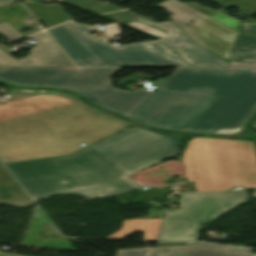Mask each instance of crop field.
<instances>
[{"label": "crop field", "instance_id": "obj_1", "mask_svg": "<svg viewBox=\"0 0 256 256\" xmlns=\"http://www.w3.org/2000/svg\"><path fill=\"white\" fill-rule=\"evenodd\" d=\"M120 68L13 67L0 80L73 91L145 125L235 134L256 109V69L177 68L152 93L108 85Z\"/></svg>", "mask_w": 256, "mask_h": 256}, {"label": "crop field", "instance_id": "obj_2", "mask_svg": "<svg viewBox=\"0 0 256 256\" xmlns=\"http://www.w3.org/2000/svg\"><path fill=\"white\" fill-rule=\"evenodd\" d=\"M5 165L33 198L58 193L110 196L139 187L89 147L65 157ZM60 177L71 183L59 184Z\"/></svg>", "mask_w": 256, "mask_h": 256}, {"label": "crop field", "instance_id": "obj_3", "mask_svg": "<svg viewBox=\"0 0 256 256\" xmlns=\"http://www.w3.org/2000/svg\"><path fill=\"white\" fill-rule=\"evenodd\" d=\"M186 181L195 191L256 188L254 141L191 136L183 155Z\"/></svg>", "mask_w": 256, "mask_h": 256}, {"label": "crop field", "instance_id": "obj_4", "mask_svg": "<svg viewBox=\"0 0 256 256\" xmlns=\"http://www.w3.org/2000/svg\"><path fill=\"white\" fill-rule=\"evenodd\" d=\"M53 131L36 113L0 120L3 162L64 155L83 148Z\"/></svg>", "mask_w": 256, "mask_h": 256}, {"label": "crop field", "instance_id": "obj_5", "mask_svg": "<svg viewBox=\"0 0 256 256\" xmlns=\"http://www.w3.org/2000/svg\"><path fill=\"white\" fill-rule=\"evenodd\" d=\"M13 96L17 97L12 91ZM57 131L90 145L131 124L62 93L32 106Z\"/></svg>", "mask_w": 256, "mask_h": 256}, {"label": "crop field", "instance_id": "obj_6", "mask_svg": "<svg viewBox=\"0 0 256 256\" xmlns=\"http://www.w3.org/2000/svg\"><path fill=\"white\" fill-rule=\"evenodd\" d=\"M178 137L180 136L135 127L90 147L122 172L130 175L175 155L178 150Z\"/></svg>", "mask_w": 256, "mask_h": 256}, {"label": "crop field", "instance_id": "obj_7", "mask_svg": "<svg viewBox=\"0 0 256 256\" xmlns=\"http://www.w3.org/2000/svg\"><path fill=\"white\" fill-rule=\"evenodd\" d=\"M63 27L100 66H189L162 41L112 46L94 39L89 34L96 30L93 27L72 22Z\"/></svg>", "mask_w": 256, "mask_h": 256}, {"label": "crop field", "instance_id": "obj_8", "mask_svg": "<svg viewBox=\"0 0 256 256\" xmlns=\"http://www.w3.org/2000/svg\"><path fill=\"white\" fill-rule=\"evenodd\" d=\"M247 198L246 191L181 195L178 210H167L165 214L159 240L196 241L200 224Z\"/></svg>", "mask_w": 256, "mask_h": 256}, {"label": "crop field", "instance_id": "obj_9", "mask_svg": "<svg viewBox=\"0 0 256 256\" xmlns=\"http://www.w3.org/2000/svg\"><path fill=\"white\" fill-rule=\"evenodd\" d=\"M155 6L170 13L168 17L196 44L229 59L237 33L178 0H164Z\"/></svg>", "mask_w": 256, "mask_h": 256}, {"label": "crop field", "instance_id": "obj_10", "mask_svg": "<svg viewBox=\"0 0 256 256\" xmlns=\"http://www.w3.org/2000/svg\"><path fill=\"white\" fill-rule=\"evenodd\" d=\"M146 26L153 25L161 30H167L166 36L161 39L171 50L175 51L190 66L226 67L227 62L196 45L174 23H151L142 19L135 20ZM182 35L184 38H179ZM182 43H186L183 45ZM191 45V47H188Z\"/></svg>", "mask_w": 256, "mask_h": 256}, {"label": "crop field", "instance_id": "obj_11", "mask_svg": "<svg viewBox=\"0 0 256 256\" xmlns=\"http://www.w3.org/2000/svg\"><path fill=\"white\" fill-rule=\"evenodd\" d=\"M30 37L36 41L32 56L15 60L0 50V70L12 66H74L45 32Z\"/></svg>", "mask_w": 256, "mask_h": 256}, {"label": "crop field", "instance_id": "obj_12", "mask_svg": "<svg viewBox=\"0 0 256 256\" xmlns=\"http://www.w3.org/2000/svg\"><path fill=\"white\" fill-rule=\"evenodd\" d=\"M147 256H256L251 249L202 244L149 248Z\"/></svg>", "mask_w": 256, "mask_h": 256}, {"label": "crop field", "instance_id": "obj_13", "mask_svg": "<svg viewBox=\"0 0 256 256\" xmlns=\"http://www.w3.org/2000/svg\"><path fill=\"white\" fill-rule=\"evenodd\" d=\"M229 66H256V24H243Z\"/></svg>", "mask_w": 256, "mask_h": 256}, {"label": "crop field", "instance_id": "obj_14", "mask_svg": "<svg viewBox=\"0 0 256 256\" xmlns=\"http://www.w3.org/2000/svg\"><path fill=\"white\" fill-rule=\"evenodd\" d=\"M47 32L78 66H99L62 26L47 30Z\"/></svg>", "mask_w": 256, "mask_h": 256}, {"label": "crop field", "instance_id": "obj_15", "mask_svg": "<svg viewBox=\"0 0 256 256\" xmlns=\"http://www.w3.org/2000/svg\"><path fill=\"white\" fill-rule=\"evenodd\" d=\"M36 20L48 27L71 20L58 4L22 3Z\"/></svg>", "mask_w": 256, "mask_h": 256}, {"label": "crop field", "instance_id": "obj_16", "mask_svg": "<svg viewBox=\"0 0 256 256\" xmlns=\"http://www.w3.org/2000/svg\"><path fill=\"white\" fill-rule=\"evenodd\" d=\"M1 204L22 208L34 203L18 184H12L0 186Z\"/></svg>", "mask_w": 256, "mask_h": 256}, {"label": "crop field", "instance_id": "obj_17", "mask_svg": "<svg viewBox=\"0 0 256 256\" xmlns=\"http://www.w3.org/2000/svg\"><path fill=\"white\" fill-rule=\"evenodd\" d=\"M186 4H188L189 6L195 8L196 10L202 12L203 14L209 16L210 18L216 20L217 22L223 24L224 26L230 28L231 30L235 31V32H238V29H239V25L240 23L219 13V12H216V11H212V10H208V9H205V8H201L191 2H186Z\"/></svg>", "mask_w": 256, "mask_h": 256}, {"label": "crop field", "instance_id": "obj_18", "mask_svg": "<svg viewBox=\"0 0 256 256\" xmlns=\"http://www.w3.org/2000/svg\"><path fill=\"white\" fill-rule=\"evenodd\" d=\"M246 9L245 15H252L256 12V0H229ZM250 18L245 23H254Z\"/></svg>", "mask_w": 256, "mask_h": 256}, {"label": "crop field", "instance_id": "obj_19", "mask_svg": "<svg viewBox=\"0 0 256 256\" xmlns=\"http://www.w3.org/2000/svg\"><path fill=\"white\" fill-rule=\"evenodd\" d=\"M0 34L3 35L8 40L21 37V35H19L17 32H15L12 28H10L5 23L0 24Z\"/></svg>", "mask_w": 256, "mask_h": 256}, {"label": "crop field", "instance_id": "obj_20", "mask_svg": "<svg viewBox=\"0 0 256 256\" xmlns=\"http://www.w3.org/2000/svg\"><path fill=\"white\" fill-rule=\"evenodd\" d=\"M127 25L132 26V27H134V28H137V29H139V30L145 31V32H147V33H150V34H152V35H154V36H161V37L163 38L164 35H165V34L162 33V32H159V31H157V30H154V29H151V28H149V27H146V26H144V25H142V24H139V23H137V22H135V21H133V22L127 24Z\"/></svg>", "mask_w": 256, "mask_h": 256}, {"label": "crop field", "instance_id": "obj_21", "mask_svg": "<svg viewBox=\"0 0 256 256\" xmlns=\"http://www.w3.org/2000/svg\"><path fill=\"white\" fill-rule=\"evenodd\" d=\"M16 183L9 173L0 164V185Z\"/></svg>", "mask_w": 256, "mask_h": 256}, {"label": "crop field", "instance_id": "obj_22", "mask_svg": "<svg viewBox=\"0 0 256 256\" xmlns=\"http://www.w3.org/2000/svg\"><path fill=\"white\" fill-rule=\"evenodd\" d=\"M145 248L120 250L119 256H143Z\"/></svg>", "mask_w": 256, "mask_h": 256}, {"label": "crop field", "instance_id": "obj_23", "mask_svg": "<svg viewBox=\"0 0 256 256\" xmlns=\"http://www.w3.org/2000/svg\"><path fill=\"white\" fill-rule=\"evenodd\" d=\"M106 27V33L107 35H119L118 26L117 24H111L107 25Z\"/></svg>", "mask_w": 256, "mask_h": 256}, {"label": "crop field", "instance_id": "obj_24", "mask_svg": "<svg viewBox=\"0 0 256 256\" xmlns=\"http://www.w3.org/2000/svg\"><path fill=\"white\" fill-rule=\"evenodd\" d=\"M183 245L182 243H159V246Z\"/></svg>", "mask_w": 256, "mask_h": 256}, {"label": "crop field", "instance_id": "obj_25", "mask_svg": "<svg viewBox=\"0 0 256 256\" xmlns=\"http://www.w3.org/2000/svg\"><path fill=\"white\" fill-rule=\"evenodd\" d=\"M186 186H188L187 192H193L192 183L186 182ZM179 193H183V192H179Z\"/></svg>", "mask_w": 256, "mask_h": 256}, {"label": "crop field", "instance_id": "obj_26", "mask_svg": "<svg viewBox=\"0 0 256 256\" xmlns=\"http://www.w3.org/2000/svg\"><path fill=\"white\" fill-rule=\"evenodd\" d=\"M7 3H13L11 0H0V5L7 4Z\"/></svg>", "mask_w": 256, "mask_h": 256}, {"label": "crop field", "instance_id": "obj_27", "mask_svg": "<svg viewBox=\"0 0 256 256\" xmlns=\"http://www.w3.org/2000/svg\"><path fill=\"white\" fill-rule=\"evenodd\" d=\"M58 182L64 184L68 183L69 181L66 178H61Z\"/></svg>", "mask_w": 256, "mask_h": 256}, {"label": "crop field", "instance_id": "obj_28", "mask_svg": "<svg viewBox=\"0 0 256 256\" xmlns=\"http://www.w3.org/2000/svg\"><path fill=\"white\" fill-rule=\"evenodd\" d=\"M80 1H83V0H69V1L62 2V3H71V2L77 3Z\"/></svg>", "mask_w": 256, "mask_h": 256}, {"label": "crop field", "instance_id": "obj_29", "mask_svg": "<svg viewBox=\"0 0 256 256\" xmlns=\"http://www.w3.org/2000/svg\"><path fill=\"white\" fill-rule=\"evenodd\" d=\"M110 7H111V6H106V7H104V11H105V12L110 11Z\"/></svg>", "mask_w": 256, "mask_h": 256}, {"label": "crop field", "instance_id": "obj_30", "mask_svg": "<svg viewBox=\"0 0 256 256\" xmlns=\"http://www.w3.org/2000/svg\"><path fill=\"white\" fill-rule=\"evenodd\" d=\"M251 128H256V119H255L253 125L251 126Z\"/></svg>", "mask_w": 256, "mask_h": 256}, {"label": "crop field", "instance_id": "obj_31", "mask_svg": "<svg viewBox=\"0 0 256 256\" xmlns=\"http://www.w3.org/2000/svg\"><path fill=\"white\" fill-rule=\"evenodd\" d=\"M253 196H254V198H256V190H254Z\"/></svg>", "mask_w": 256, "mask_h": 256}, {"label": "crop field", "instance_id": "obj_32", "mask_svg": "<svg viewBox=\"0 0 256 256\" xmlns=\"http://www.w3.org/2000/svg\"><path fill=\"white\" fill-rule=\"evenodd\" d=\"M0 256H10V255L0 254Z\"/></svg>", "mask_w": 256, "mask_h": 256}, {"label": "crop field", "instance_id": "obj_33", "mask_svg": "<svg viewBox=\"0 0 256 256\" xmlns=\"http://www.w3.org/2000/svg\"><path fill=\"white\" fill-rule=\"evenodd\" d=\"M120 2H122V1H126V0H119Z\"/></svg>", "mask_w": 256, "mask_h": 256}]
</instances>
